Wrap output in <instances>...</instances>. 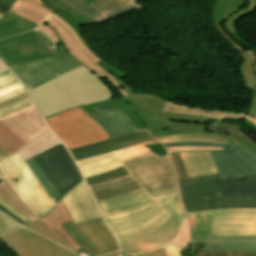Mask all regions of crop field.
I'll return each mask as SVG.
<instances>
[{
	"instance_id": "1",
	"label": "crop field",
	"mask_w": 256,
	"mask_h": 256,
	"mask_svg": "<svg viewBox=\"0 0 256 256\" xmlns=\"http://www.w3.org/2000/svg\"><path fill=\"white\" fill-rule=\"evenodd\" d=\"M10 12L38 24L39 26L36 28L44 31L54 43H59L58 48L61 47L62 49L51 53L47 47L51 42L44 36L43 32L31 30L27 33L0 40V58L7 65L70 52L98 77H107L123 96L127 95L110 74L80 49L71 33L51 17L54 13L49 9L36 3L16 0Z\"/></svg>"
},
{
	"instance_id": "2",
	"label": "crop field",
	"mask_w": 256,
	"mask_h": 256,
	"mask_svg": "<svg viewBox=\"0 0 256 256\" xmlns=\"http://www.w3.org/2000/svg\"><path fill=\"white\" fill-rule=\"evenodd\" d=\"M162 198L164 201L148 209L107 221L121 246V255L151 252L175 238L187 215L179 193Z\"/></svg>"
},
{
	"instance_id": "3",
	"label": "crop field",
	"mask_w": 256,
	"mask_h": 256,
	"mask_svg": "<svg viewBox=\"0 0 256 256\" xmlns=\"http://www.w3.org/2000/svg\"><path fill=\"white\" fill-rule=\"evenodd\" d=\"M43 117L67 108L114 98L113 93L84 65L30 90Z\"/></svg>"
},
{
	"instance_id": "4",
	"label": "crop field",
	"mask_w": 256,
	"mask_h": 256,
	"mask_svg": "<svg viewBox=\"0 0 256 256\" xmlns=\"http://www.w3.org/2000/svg\"><path fill=\"white\" fill-rule=\"evenodd\" d=\"M138 113L154 138L179 134L214 135L232 139L233 136L205 133L208 121L223 122L224 119L206 118L160 111L166 100L159 96L135 95L122 97Z\"/></svg>"
},
{
	"instance_id": "5",
	"label": "crop field",
	"mask_w": 256,
	"mask_h": 256,
	"mask_svg": "<svg viewBox=\"0 0 256 256\" xmlns=\"http://www.w3.org/2000/svg\"><path fill=\"white\" fill-rule=\"evenodd\" d=\"M96 201L143 188L151 199L179 192L173 164L163 165L103 184L89 186Z\"/></svg>"
},
{
	"instance_id": "6",
	"label": "crop field",
	"mask_w": 256,
	"mask_h": 256,
	"mask_svg": "<svg viewBox=\"0 0 256 256\" xmlns=\"http://www.w3.org/2000/svg\"><path fill=\"white\" fill-rule=\"evenodd\" d=\"M180 187L187 212L256 208V197H224L218 174L182 180Z\"/></svg>"
},
{
	"instance_id": "7",
	"label": "crop field",
	"mask_w": 256,
	"mask_h": 256,
	"mask_svg": "<svg viewBox=\"0 0 256 256\" xmlns=\"http://www.w3.org/2000/svg\"><path fill=\"white\" fill-rule=\"evenodd\" d=\"M193 241L208 235H256V209H234L188 213Z\"/></svg>"
},
{
	"instance_id": "8",
	"label": "crop field",
	"mask_w": 256,
	"mask_h": 256,
	"mask_svg": "<svg viewBox=\"0 0 256 256\" xmlns=\"http://www.w3.org/2000/svg\"><path fill=\"white\" fill-rule=\"evenodd\" d=\"M0 169L15 192L38 218L44 216L55 207L18 153L0 160Z\"/></svg>"
},
{
	"instance_id": "9",
	"label": "crop field",
	"mask_w": 256,
	"mask_h": 256,
	"mask_svg": "<svg viewBox=\"0 0 256 256\" xmlns=\"http://www.w3.org/2000/svg\"><path fill=\"white\" fill-rule=\"evenodd\" d=\"M256 9V0H216L213 9V24L236 51L244 58L240 66L246 86L256 84V51H246L235 43L223 32L219 24H225L229 32L237 31L235 22L246 17Z\"/></svg>"
},
{
	"instance_id": "10",
	"label": "crop field",
	"mask_w": 256,
	"mask_h": 256,
	"mask_svg": "<svg viewBox=\"0 0 256 256\" xmlns=\"http://www.w3.org/2000/svg\"><path fill=\"white\" fill-rule=\"evenodd\" d=\"M68 149L108 139L106 132L79 107L45 119Z\"/></svg>"
},
{
	"instance_id": "11",
	"label": "crop field",
	"mask_w": 256,
	"mask_h": 256,
	"mask_svg": "<svg viewBox=\"0 0 256 256\" xmlns=\"http://www.w3.org/2000/svg\"><path fill=\"white\" fill-rule=\"evenodd\" d=\"M80 65L82 64L72 54L67 53L10 65L9 67L31 89Z\"/></svg>"
},
{
	"instance_id": "12",
	"label": "crop field",
	"mask_w": 256,
	"mask_h": 256,
	"mask_svg": "<svg viewBox=\"0 0 256 256\" xmlns=\"http://www.w3.org/2000/svg\"><path fill=\"white\" fill-rule=\"evenodd\" d=\"M89 256L117 251L118 244L104 219L78 225L73 221L62 226Z\"/></svg>"
},
{
	"instance_id": "13",
	"label": "crop field",
	"mask_w": 256,
	"mask_h": 256,
	"mask_svg": "<svg viewBox=\"0 0 256 256\" xmlns=\"http://www.w3.org/2000/svg\"><path fill=\"white\" fill-rule=\"evenodd\" d=\"M18 256H77L56 243L24 228L0 237ZM118 256V252L104 255Z\"/></svg>"
},
{
	"instance_id": "14",
	"label": "crop field",
	"mask_w": 256,
	"mask_h": 256,
	"mask_svg": "<svg viewBox=\"0 0 256 256\" xmlns=\"http://www.w3.org/2000/svg\"><path fill=\"white\" fill-rule=\"evenodd\" d=\"M234 141L222 151H209L221 179L256 176V159Z\"/></svg>"
},
{
	"instance_id": "15",
	"label": "crop field",
	"mask_w": 256,
	"mask_h": 256,
	"mask_svg": "<svg viewBox=\"0 0 256 256\" xmlns=\"http://www.w3.org/2000/svg\"><path fill=\"white\" fill-rule=\"evenodd\" d=\"M0 122L27 143L49 130L34 102L1 116Z\"/></svg>"
},
{
	"instance_id": "16",
	"label": "crop field",
	"mask_w": 256,
	"mask_h": 256,
	"mask_svg": "<svg viewBox=\"0 0 256 256\" xmlns=\"http://www.w3.org/2000/svg\"><path fill=\"white\" fill-rule=\"evenodd\" d=\"M162 201L161 197L151 200L141 189L119 197L98 201L105 220L127 216Z\"/></svg>"
},
{
	"instance_id": "17",
	"label": "crop field",
	"mask_w": 256,
	"mask_h": 256,
	"mask_svg": "<svg viewBox=\"0 0 256 256\" xmlns=\"http://www.w3.org/2000/svg\"><path fill=\"white\" fill-rule=\"evenodd\" d=\"M149 143H159V142L155 140L149 141L146 143L131 146L128 148H124V149L103 154L100 156L78 161L77 164L79 165L84 177L92 176L105 171H110L112 169L122 166L118 162L120 160L151 151L150 149H148L146 146L143 145V144H149Z\"/></svg>"
},
{
	"instance_id": "18",
	"label": "crop field",
	"mask_w": 256,
	"mask_h": 256,
	"mask_svg": "<svg viewBox=\"0 0 256 256\" xmlns=\"http://www.w3.org/2000/svg\"><path fill=\"white\" fill-rule=\"evenodd\" d=\"M62 200L75 224L102 217L85 181L76 185Z\"/></svg>"
},
{
	"instance_id": "19",
	"label": "crop field",
	"mask_w": 256,
	"mask_h": 256,
	"mask_svg": "<svg viewBox=\"0 0 256 256\" xmlns=\"http://www.w3.org/2000/svg\"><path fill=\"white\" fill-rule=\"evenodd\" d=\"M42 155L50 163L67 191L77 182L83 180L76 163L63 144L42 153Z\"/></svg>"
},
{
	"instance_id": "20",
	"label": "crop field",
	"mask_w": 256,
	"mask_h": 256,
	"mask_svg": "<svg viewBox=\"0 0 256 256\" xmlns=\"http://www.w3.org/2000/svg\"><path fill=\"white\" fill-rule=\"evenodd\" d=\"M190 178L218 173L209 152L181 153Z\"/></svg>"
},
{
	"instance_id": "21",
	"label": "crop field",
	"mask_w": 256,
	"mask_h": 256,
	"mask_svg": "<svg viewBox=\"0 0 256 256\" xmlns=\"http://www.w3.org/2000/svg\"><path fill=\"white\" fill-rule=\"evenodd\" d=\"M59 2L67 5L75 12L95 21L96 23H100L104 20H109L115 16L127 13L135 8H137L133 3L119 7L117 9L105 12L98 13L96 10L88 6L82 0H58Z\"/></svg>"
},
{
	"instance_id": "22",
	"label": "crop field",
	"mask_w": 256,
	"mask_h": 256,
	"mask_svg": "<svg viewBox=\"0 0 256 256\" xmlns=\"http://www.w3.org/2000/svg\"><path fill=\"white\" fill-rule=\"evenodd\" d=\"M50 230L55 228L61 236L76 250L81 247L67 234V232L60 226L71 221V218L62 202L56 206L55 210L48 216L40 219ZM82 250V249H81ZM83 251V250H82ZM84 252V251H83Z\"/></svg>"
},
{
	"instance_id": "23",
	"label": "crop field",
	"mask_w": 256,
	"mask_h": 256,
	"mask_svg": "<svg viewBox=\"0 0 256 256\" xmlns=\"http://www.w3.org/2000/svg\"><path fill=\"white\" fill-rule=\"evenodd\" d=\"M120 163L129 171L130 174L142 169L172 163L169 155L158 157L152 152L141 154L123 161Z\"/></svg>"
},
{
	"instance_id": "24",
	"label": "crop field",
	"mask_w": 256,
	"mask_h": 256,
	"mask_svg": "<svg viewBox=\"0 0 256 256\" xmlns=\"http://www.w3.org/2000/svg\"><path fill=\"white\" fill-rule=\"evenodd\" d=\"M103 105H113L118 109L122 110L123 112H125L129 116V118L131 119L132 123L134 124L137 130L147 129L144 123L141 121V119L137 115V113L134 111V109L121 97L94 103V104L83 105L79 107L83 111H85L89 116H91L93 114L98 113L96 110L93 109V107L103 106Z\"/></svg>"
},
{
	"instance_id": "25",
	"label": "crop field",
	"mask_w": 256,
	"mask_h": 256,
	"mask_svg": "<svg viewBox=\"0 0 256 256\" xmlns=\"http://www.w3.org/2000/svg\"><path fill=\"white\" fill-rule=\"evenodd\" d=\"M0 182V200L14 208L27 219L31 221L37 220L38 218L30 211L22 199L14 192L5 178L1 179Z\"/></svg>"
},
{
	"instance_id": "26",
	"label": "crop field",
	"mask_w": 256,
	"mask_h": 256,
	"mask_svg": "<svg viewBox=\"0 0 256 256\" xmlns=\"http://www.w3.org/2000/svg\"><path fill=\"white\" fill-rule=\"evenodd\" d=\"M36 24L11 13L0 20V39L35 28Z\"/></svg>"
},
{
	"instance_id": "27",
	"label": "crop field",
	"mask_w": 256,
	"mask_h": 256,
	"mask_svg": "<svg viewBox=\"0 0 256 256\" xmlns=\"http://www.w3.org/2000/svg\"><path fill=\"white\" fill-rule=\"evenodd\" d=\"M149 140H153V138L151 137L150 134L140 136V137H136V138H132V139L119 141V142L112 143V144L102 146V147H98V148L89 149V150H86V151H82V152L73 154L72 156L76 159V161H78V160H82V159L89 158V157H92V156H96V155H100V154L107 153V152H110V151H114V150H117V149H121V148H124V147H128V146H131V145L146 142V141H149Z\"/></svg>"
},
{
	"instance_id": "28",
	"label": "crop field",
	"mask_w": 256,
	"mask_h": 256,
	"mask_svg": "<svg viewBox=\"0 0 256 256\" xmlns=\"http://www.w3.org/2000/svg\"><path fill=\"white\" fill-rule=\"evenodd\" d=\"M222 182L225 196H256V177Z\"/></svg>"
},
{
	"instance_id": "29",
	"label": "crop field",
	"mask_w": 256,
	"mask_h": 256,
	"mask_svg": "<svg viewBox=\"0 0 256 256\" xmlns=\"http://www.w3.org/2000/svg\"><path fill=\"white\" fill-rule=\"evenodd\" d=\"M59 143L61 142L49 130L18 151L24 159H29L39 152Z\"/></svg>"
},
{
	"instance_id": "30",
	"label": "crop field",
	"mask_w": 256,
	"mask_h": 256,
	"mask_svg": "<svg viewBox=\"0 0 256 256\" xmlns=\"http://www.w3.org/2000/svg\"><path fill=\"white\" fill-rule=\"evenodd\" d=\"M203 252L245 251L256 253L254 242H207Z\"/></svg>"
},
{
	"instance_id": "31",
	"label": "crop field",
	"mask_w": 256,
	"mask_h": 256,
	"mask_svg": "<svg viewBox=\"0 0 256 256\" xmlns=\"http://www.w3.org/2000/svg\"><path fill=\"white\" fill-rule=\"evenodd\" d=\"M190 242L188 219H184L176 238L163 248L167 256H181V250Z\"/></svg>"
},
{
	"instance_id": "32",
	"label": "crop field",
	"mask_w": 256,
	"mask_h": 256,
	"mask_svg": "<svg viewBox=\"0 0 256 256\" xmlns=\"http://www.w3.org/2000/svg\"><path fill=\"white\" fill-rule=\"evenodd\" d=\"M162 110L185 113V114H195V115H201V116H207V117H217V118L244 119L245 117V115L243 114H228V113L203 111V110H195L191 108L179 107L168 102L164 104Z\"/></svg>"
},
{
	"instance_id": "33",
	"label": "crop field",
	"mask_w": 256,
	"mask_h": 256,
	"mask_svg": "<svg viewBox=\"0 0 256 256\" xmlns=\"http://www.w3.org/2000/svg\"><path fill=\"white\" fill-rule=\"evenodd\" d=\"M56 15H58L61 19L65 20V21L68 23V25H69L70 27H72V28L75 30V32L78 34V36L81 38V40H82V41L84 42V44L86 45V47H87L98 59L101 60V61L97 62V64H99V65H100L103 69H105L106 71L110 70V71L116 73L117 75H119L120 77H125V74H124L123 72H121L120 70H118V69H116V68L110 66L108 63H106L104 60H102V59L89 47V45L85 42V40H84V38H83V36H82L80 30H79V26L82 25V24H84L83 22H81V21H79V20H77V19H75V18H73V17H71V16H69V15H67V14H65V13H63V12H61V11L57 12ZM116 74H115V75H116Z\"/></svg>"
},
{
	"instance_id": "34",
	"label": "crop field",
	"mask_w": 256,
	"mask_h": 256,
	"mask_svg": "<svg viewBox=\"0 0 256 256\" xmlns=\"http://www.w3.org/2000/svg\"><path fill=\"white\" fill-rule=\"evenodd\" d=\"M8 129L0 123V147L7 153L11 154L27 143Z\"/></svg>"
},
{
	"instance_id": "35",
	"label": "crop field",
	"mask_w": 256,
	"mask_h": 256,
	"mask_svg": "<svg viewBox=\"0 0 256 256\" xmlns=\"http://www.w3.org/2000/svg\"><path fill=\"white\" fill-rule=\"evenodd\" d=\"M30 169L33 171L43 188L46 190L52 201L54 202L55 206L61 199L60 195L55 190L52 183L49 181V179L46 177V175L42 172V170L39 168V166L36 164V162L33 160V158L26 161Z\"/></svg>"
},
{
	"instance_id": "36",
	"label": "crop field",
	"mask_w": 256,
	"mask_h": 256,
	"mask_svg": "<svg viewBox=\"0 0 256 256\" xmlns=\"http://www.w3.org/2000/svg\"><path fill=\"white\" fill-rule=\"evenodd\" d=\"M25 227L39 233L42 234L52 240H54L55 242L71 249L72 251L78 253L76 250H74L61 236L60 234L54 229L52 231H50L40 220L35 221L31 224L26 225Z\"/></svg>"
},
{
	"instance_id": "37",
	"label": "crop field",
	"mask_w": 256,
	"mask_h": 256,
	"mask_svg": "<svg viewBox=\"0 0 256 256\" xmlns=\"http://www.w3.org/2000/svg\"><path fill=\"white\" fill-rule=\"evenodd\" d=\"M160 141L162 143L165 142H174V141H206V142H213V143H221V144H228L230 140L213 137V136H200V135H179V136H166L160 137Z\"/></svg>"
},
{
	"instance_id": "38",
	"label": "crop field",
	"mask_w": 256,
	"mask_h": 256,
	"mask_svg": "<svg viewBox=\"0 0 256 256\" xmlns=\"http://www.w3.org/2000/svg\"><path fill=\"white\" fill-rule=\"evenodd\" d=\"M34 160L37 162V164L40 166V168L44 171V173L47 175V177L50 179V181L55 186L58 193L62 196H64L67 192L60 183L59 179L57 178L56 174L54 173L51 166L48 164L46 159L40 154L36 157H34Z\"/></svg>"
},
{
	"instance_id": "39",
	"label": "crop field",
	"mask_w": 256,
	"mask_h": 256,
	"mask_svg": "<svg viewBox=\"0 0 256 256\" xmlns=\"http://www.w3.org/2000/svg\"><path fill=\"white\" fill-rule=\"evenodd\" d=\"M128 174H129L128 171L124 167H122V168L112 170L110 172L101 173L92 177H88L86 178V180L88 184L91 185V184L107 182Z\"/></svg>"
},
{
	"instance_id": "40",
	"label": "crop field",
	"mask_w": 256,
	"mask_h": 256,
	"mask_svg": "<svg viewBox=\"0 0 256 256\" xmlns=\"http://www.w3.org/2000/svg\"><path fill=\"white\" fill-rule=\"evenodd\" d=\"M95 109L98 110L100 113H102L104 116H106L109 119V121L119 129L121 135L130 133V130L127 127V125L123 122V120L117 114L108 110L105 106L97 107Z\"/></svg>"
},
{
	"instance_id": "41",
	"label": "crop field",
	"mask_w": 256,
	"mask_h": 256,
	"mask_svg": "<svg viewBox=\"0 0 256 256\" xmlns=\"http://www.w3.org/2000/svg\"><path fill=\"white\" fill-rule=\"evenodd\" d=\"M131 3L129 0H97L91 4V7L102 13L116 7Z\"/></svg>"
},
{
	"instance_id": "42",
	"label": "crop field",
	"mask_w": 256,
	"mask_h": 256,
	"mask_svg": "<svg viewBox=\"0 0 256 256\" xmlns=\"http://www.w3.org/2000/svg\"><path fill=\"white\" fill-rule=\"evenodd\" d=\"M144 134H148V131L142 130V131H138V132H133V133L123 135V136H120V137H116V138H112V139H109V140H105V141L93 143V144H90V145L70 149V151L73 154V153H76V152H79V151H82V150H86V149H89V148L102 146V145L109 144V143H112V142H115V141H119V140L126 139V138H131V137H136V136H140V135H144Z\"/></svg>"
},
{
	"instance_id": "43",
	"label": "crop field",
	"mask_w": 256,
	"mask_h": 256,
	"mask_svg": "<svg viewBox=\"0 0 256 256\" xmlns=\"http://www.w3.org/2000/svg\"><path fill=\"white\" fill-rule=\"evenodd\" d=\"M94 120H96L99 125L107 132V134L112 137L120 136L119 131L117 128H115L108 120L106 117L101 115L100 113L91 116Z\"/></svg>"
},
{
	"instance_id": "44",
	"label": "crop field",
	"mask_w": 256,
	"mask_h": 256,
	"mask_svg": "<svg viewBox=\"0 0 256 256\" xmlns=\"http://www.w3.org/2000/svg\"><path fill=\"white\" fill-rule=\"evenodd\" d=\"M233 140L256 158V144L251 139L239 132Z\"/></svg>"
},
{
	"instance_id": "45",
	"label": "crop field",
	"mask_w": 256,
	"mask_h": 256,
	"mask_svg": "<svg viewBox=\"0 0 256 256\" xmlns=\"http://www.w3.org/2000/svg\"><path fill=\"white\" fill-rule=\"evenodd\" d=\"M45 2H47L50 6H52L55 9L61 10L65 13H68L76 18H78L79 20L83 21L85 24H94V22L76 14L75 12H73L71 9H69L67 6L59 3L56 0H44Z\"/></svg>"
},
{
	"instance_id": "46",
	"label": "crop field",
	"mask_w": 256,
	"mask_h": 256,
	"mask_svg": "<svg viewBox=\"0 0 256 256\" xmlns=\"http://www.w3.org/2000/svg\"><path fill=\"white\" fill-rule=\"evenodd\" d=\"M17 227H21L6 215L0 213V235L11 231Z\"/></svg>"
},
{
	"instance_id": "47",
	"label": "crop field",
	"mask_w": 256,
	"mask_h": 256,
	"mask_svg": "<svg viewBox=\"0 0 256 256\" xmlns=\"http://www.w3.org/2000/svg\"><path fill=\"white\" fill-rule=\"evenodd\" d=\"M18 82L20 81L10 70L0 74V90Z\"/></svg>"
},
{
	"instance_id": "48",
	"label": "crop field",
	"mask_w": 256,
	"mask_h": 256,
	"mask_svg": "<svg viewBox=\"0 0 256 256\" xmlns=\"http://www.w3.org/2000/svg\"><path fill=\"white\" fill-rule=\"evenodd\" d=\"M53 18H55L58 22H60L63 26H65L74 36L75 40L77 41L78 45L82 48V50L88 54L95 62L99 61L83 44V42L80 40V38L76 35V33L73 31L72 28H70L67 23L61 19L58 18V16H53Z\"/></svg>"
},
{
	"instance_id": "49",
	"label": "crop field",
	"mask_w": 256,
	"mask_h": 256,
	"mask_svg": "<svg viewBox=\"0 0 256 256\" xmlns=\"http://www.w3.org/2000/svg\"><path fill=\"white\" fill-rule=\"evenodd\" d=\"M179 174V180L189 178L179 153H170Z\"/></svg>"
},
{
	"instance_id": "50",
	"label": "crop field",
	"mask_w": 256,
	"mask_h": 256,
	"mask_svg": "<svg viewBox=\"0 0 256 256\" xmlns=\"http://www.w3.org/2000/svg\"><path fill=\"white\" fill-rule=\"evenodd\" d=\"M164 146L165 147H172V146H206V147H223V148H225L226 145L205 143V142H175V143H166V144H164Z\"/></svg>"
},
{
	"instance_id": "51",
	"label": "crop field",
	"mask_w": 256,
	"mask_h": 256,
	"mask_svg": "<svg viewBox=\"0 0 256 256\" xmlns=\"http://www.w3.org/2000/svg\"><path fill=\"white\" fill-rule=\"evenodd\" d=\"M216 240H249L256 241V236H209L207 241Z\"/></svg>"
},
{
	"instance_id": "52",
	"label": "crop field",
	"mask_w": 256,
	"mask_h": 256,
	"mask_svg": "<svg viewBox=\"0 0 256 256\" xmlns=\"http://www.w3.org/2000/svg\"><path fill=\"white\" fill-rule=\"evenodd\" d=\"M246 90L253 91L252 100L250 102L249 109H248L247 113L256 116V85L246 87Z\"/></svg>"
},
{
	"instance_id": "53",
	"label": "crop field",
	"mask_w": 256,
	"mask_h": 256,
	"mask_svg": "<svg viewBox=\"0 0 256 256\" xmlns=\"http://www.w3.org/2000/svg\"><path fill=\"white\" fill-rule=\"evenodd\" d=\"M198 256H256V254L245 252H233V253H199Z\"/></svg>"
},
{
	"instance_id": "54",
	"label": "crop field",
	"mask_w": 256,
	"mask_h": 256,
	"mask_svg": "<svg viewBox=\"0 0 256 256\" xmlns=\"http://www.w3.org/2000/svg\"><path fill=\"white\" fill-rule=\"evenodd\" d=\"M34 100H33V98L31 97V98H29V99H26V100H24V101H22V102H19V103H17V104H14V105H12V106H10V107H7V108H5V109H2V110H0V116L1 115H4V114H6V113H9V112H11V111H13V110H16V109H18V108H20V107H22V106H24V105H27V104H29V103H31V102H33Z\"/></svg>"
},
{
	"instance_id": "55",
	"label": "crop field",
	"mask_w": 256,
	"mask_h": 256,
	"mask_svg": "<svg viewBox=\"0 0 256 256\" xmlns=\"http://www.w3.org/2000/svg\"><path fill=\"white\" fill-rule=\"evenodd\" d=\"M29 97H31V95H30L29 92H27V93H25V94H22V95H20V96H17V97H15V98H12V99H10V100H7V101H5V102H3V103H0V109L5 108V107H7V106H9V105H12V104H14V103H17V102H19V101H22V100H24V99H26V98H29Z\"/></svg>"
},
{
	"instance_id": "56",
	"label": "crop field",
	"mask_w": 256,
	"mask_h": 256,
	"mask_svg": "<svg viewBox=\"0 0 256 256\" xmlns=\"http://www.w3.org/2000/svg\"><path fill=\"white\" fill-rule=\"evenodd\" d=\"M168 152L171 151H196V150H218L222 148H206V147H173L166 148Z\"/></svg>"
},
{
	"instance_id": "57",
	"label": "crop field",
	"mask_w": 256,
	"mask_h": 256,
	"mask_svg": "<svg viewBox=\"0 0 256 256\" xmlns=\"http://www.w3.org/2000/svg\"><path fill=\"white\" fill-rule=\"evenodd\" d=\"M106 107L116 112L128 124L131 132L136 131L135 127L133 126V124L131 123L130 119L127 117L126 114H124L122 111L118 110L113 106H106Z\"/></svg>"
},
{
	"instance_id": "58",
	"label": "crop field",
	"mask_w": 256,
	"mask_h": 256,
	"mask_svg": "<svg viewBox=\"0 0 256 256\" xmlns=\"http://www.w3.org/2000/svg\"><path fill=\"white\" fill-rule=\"evenodd\" d=\"M25 92H27V90H26L25 87H23L21 89H18L16 91H13V92H11V93H9L7 95H4V96L0 97V102H3L5 100H7V99H10L12 97H15V96L20 95V94L25 93Z\"/></svg>"
},
{
	"instance_id": "59",
	"label": "crop field",
	"mask_w": 256,
	"mask_h": 256,
	"mask_svg": "<svg viewBox=\"0 0 256 256\" xmlns=\"http://www.w3.org/2000/svg\"><path fill=\"white\" fill-rule=\"evenodd\" d=\"M0 210H2L3 212H5L7 215L11 216L13 219H15L18 223H20L22 226L27 224L25 223L23 220H21L20 218H18L16 215H14L12 212H10L8 209H6L4 206H2L0 204Z\"/></svg>"
},
{
	"instance_id": "60",
	"label": "crop field",
	"mask_w": 256,
	"mask_h": 256,
	"mask_svg": "<svg viewBox=\"0 0 256 256\" xmlns=\"http://www.w3.org/2000/svg\"><path fill=\"white\" fill-rule=\"evenodd\" d=\"M23 86H24V85L22 84V82H20V83H18V84H16V85H13V86H11V87H8V88H6V89L0 91V96H2V95H4V94H7V93H9V92H11V91H13V90L18 89V88H21V87H23Z\"/></svg>"
},
{
	"instance_id": "61",
	"label": "crop field",
	"mask_w": 256,
	"mask_h": 256,
	"mask_svg": "<svg viewBox=\"0 0 256 256\" xmlns=\"http://www.w3.org/2000/svg\"><path fill=\"white\" fill-rule=\"evenodd\" d=\"M114 78L120 83V85L123 87V89L127 92L128 95L133 93L132 88L127 83H125L124 81L120 80L119 76H115Z\"/></svg>"
},
{
	"instance_id": "62",
	"label": "crop field",
	"mask_w": 256,
	"mask_h": 256,
	"mask_svg": "<svg viewBox=\"0 0 256 256\" xmlns=\"http://www.w3.org/2000/svg\"><path fill=\"white\" fill-rule=\"evenodd\" d=\"M0 203L2 205H4L6 208H8L10 211H12L14 214H16L18 217H20L21 219H23L25 222L29 223L30 221L27 220L25 217H23L22 215H20L18 212H16L14 209H12L11 207H9L8 205H6L5 203H3L2 201H0Z\"/></svg>"
},
{
	"instance_id": "63",
	"label": "crop field",
	"mask_w": 256,
	"mask_h": 256,
	"mask_svg": "<svg viewBox=\"0 0 256 256\" xmlns=\"http://www.w3.org/2000/svg\"><path fill=\"white\" fill-rule=\"evenodd\" d=\"M139 256H166L163 252V250H159L153 253H149V254H144V255H139Z\"/></svg>"
},
{
	"instance_id": "64",
	"label": "crop field",
	"mask_w": 256,
	"mask_h": 256,
	"mask_svg": "<svg viewBox=\"0 0 256 256\" xmlns=\"http://www.w3.org/2000/svg\"><path fill=\"white\" fill-rule=\"evenodd\" d=\"M204 243L205 242H199L197 244L196 248L194 249V251L192 253L193 256H197L198 255V253H199L200 249L202 248V246L204 245Z\"/></svg>"
},
{
	"instance_id": "65",
	"label": "crop field",
	"mask_w": 256,
	"mask_h": 256,
	"mask_svg": "<svg viewBox=\"0 0 256 256\" xmlns=\"http://www.w3.org/2000/svg\"><path fill=\"white\" fill-rule=\"evenodd\" d=\"M8 10H9V7H7V6H5V5H3V4L0 3V13H1V14L4 15L5 13L8 12Z\"/></svg>"
},
{
	"instance_id": "66",
	"label": "crop field",
	"mask_w": 256,
	"mask_h": 256,
	"mask_svg": "<svg viewBox=\"0 0 256 256\" xmlns=\"http://www.w3.org/2000/svg\"><path fill=\"white\" fill-rule=\"evenodd\" d=\"M245 120H248V121H250V122H252L253 124H255L256 125V119L255 118H253V117H250V116H247L246 115V117H245ZM245 122V121H244ZM244 124V123H243ZM245 125V124H244ZM247 126V125H246ZM251 127H254V125H250ZM249 127V126H248ZM252 129V128H251ZM254 130V129H253ZM256 131V130H255Z\"/></svg>"
},
{
	"instance_id": "67",
	"label": "crop field",
	"mask_w": 256,
	"mask_h": 256,
	"mask_svg": "<svg viewBox=\"0 0 256 256\" xmlns=\"http://www.w3.org/2000/svg\"><path fill=\"white\" fill-rule=\"evenodd\" d=\"M15 0H0L1 3L11 7V5L13 4Z\"/></svg>"
},
{
	"instance_id": "68",
	"label": "crop field",
	"mask_w": 256,
	"mask_h": 256,
	"mask_svg": "<svg viewBox=\"0 0 256 256\" xmlns=\"http://www.w3.org/2000/svg\"><path fill=\"white\" fill-rule=\"evenodd\" d=\"M8 154L6 152H4L1 148H0V159L7 156ZM3 178L2 173L0 172V179Z\"/></svg>"
},
{
	"instance_id": "69",
	"label": "crop field",
	"mask_w": 256,
	"mask_h": 256,
	"mask_svg": "<svg viewBox=\"0 0 256 256\" xmlns=\"http://www.w3.org/2000/svg\"><path fill=\"white\" fill-rule=\"evenodd\" d=\"M8 70V68L5 66V64L0 60V73L3 71Z\"/></svg>"
},
{
	"instance_id": "70",
	"label": "crop field",
	"mask_w": 256,
	"mask_h": 256,
	"mask_svg": "<svg viewBox=\"0 0 256 256\" xmlns=\"http://www.w3.org/2000/svg\"><path fill=\"white\" fill-rule=\"evenodd\" d=\"M92 1H94V0H84V2H86L87 4L92 2Z\"/></svg>"
},
{
	"instance_id": "71",
	"label": "crop field",
	"mask_w": 256,
	"mask_h": 256,
	"mask_svg": "<svg viewBox=\"0 0 256 256\" xmlns=\"http://www.w3.org/2000/svg\"><path fill=\"white\" fill-rule=\"evenodd\" d=\"M28 1H32V2L40 3V1H39V0H28Z\"/></svg>"
},
{
	"instance_id": "72",
	"label": "crop field",
	"mask_w": 256,
	"mask_h": 256,
	"mask_svg": "<svg viewBox=\"0 0 256 256\" xmlns=\"http://www.w3.org/2000/svg\"><path fill=\"white\" fill-rule=\"evenodd\" d=\"M2 15H0V19H1Z\"/></svg>"
}]
</instances>
